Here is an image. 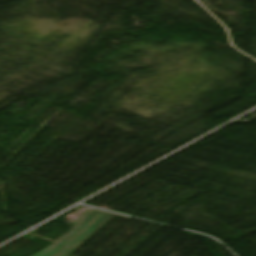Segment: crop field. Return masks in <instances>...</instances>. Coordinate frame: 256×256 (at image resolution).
Here are the masks:
<instances>
[{
    "label": "crop field",
    "mask_w": 256,
    "mask_h": 256,
    "mask_svg": "<svg viewBox=\"0 0 256 256\" xmlns=\"http://www.w3.org/2000/svg\"><path fill=\"white\" fill-rule=\"evenodd\" d=\"M113 215L126 218V216L97 209L87 211L73 222L75 225L68 233L33 256H68Z\"/></svg>",
    "instance_id": "crop-field-1"
}]
</instances>
